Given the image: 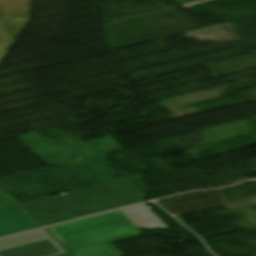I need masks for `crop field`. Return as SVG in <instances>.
Wrapping results in <instances>:
<instances>
[{
	"instance_id": "8a807250",
	"label": "crop field",
	"mask_w": 256,
	"mask_h": 256,
	"mask_svg": "<svg viewBox=\"0 0 256 256\" xmlns=\"http://www.w3.org/2000/svg\"><path fill=\"white\" fill-rule=\"evenodd\" d=\"M146 196L127 178L23 204L43 225H50L139 202Z\"/></svg>"
},
{
	"instance_id": "ac0d7876",
	"label": "crop field",
	"mask_w": 256,
	"mask_h": 256,
	"mask_svg": "<svg viewBox=\"0 0 256 256\" xmlns=\"http://www.w3.org/2000/svg\"><path fill=\"white\" fill-rule=\"evenodd\" d=\"M47 230L70 253L64 256H122L106 243L142 234L120 211Z\"/></svg>"
},
{
	"instance_id": "34b2d1b8",
	"label": "crop field",
	"mask_w": 256,
	"mask_h": 256,
	"mask_svg": "<svg viewBox=\"0 0 256 256\" xmlns=\"http://www.w3.org/2000/svg\"><path fill=\"white\" fill-rule=\"evenodd\" d=\"M59 254L38 231L0 240V256H54Z\"/></svg>"
},
{
	"instance_id": "412701ff",
	"label": "crop field",
	"mask_w": 256,
	"mask_h": 256,
	"mask_svg": "<svg viewBox=\"0 0 256 256\" xmlns=\"http://www.w3.org/2000/svg\"><path fill=\"white\" fill-rule=\"evenodd\" d=\"M40 226L20 204L0 209V236Z\"/></svg>"
},
{
	"instance_id": "f4fd0767",
	"label": "crop field",
	"mask_w": 256,
	"mask_h": 256,
	"mask_svg": "<svg viewBox=\"0 0 256 256\" xmlns=\"http://www.w3.org/2000/svg\"><path fill=\"white\" fill-rule=\"evenodd\" d=\"M146 206L140 205L136 207L126 208L120 210L136 227H145L149 229L167 227L157 219Z\"/></svg>"
},
{
	"instance_id": "dd49c442",
	"label": "crop field",
	"mask_w": 256,
	"mask_h": 256,
	"mask_svg": "<svg viewBox=\"0 0 256 256\" xmlns=\"http://www.w3.org/2000/svg\"><path fill=\"white\" fill-rule=\"evenodd\" d=\"M19 203L2 189H0V208Z\"/></svg>"
},
{
	"instance_id": "e52e79f7",
	"label": "crop field",
	"mask_w": 256,
	"mask_h": 256,
	"mask_svg": "<svg viewBox=\"0 0 256 256\" xmlns=\"http://www.w3.org/2000/svg\"><path fill=\"white\" fill-rule=\"evenodd\" d=\"M61 254L65 253L62 248L44 230L39 231Z\"/></svg>"
}]
</instances>
